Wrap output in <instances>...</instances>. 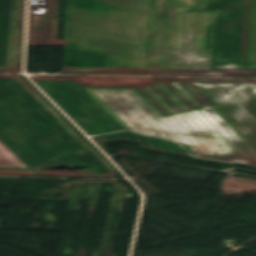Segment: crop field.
<instances>
[{
	"instance_id": "8a807250",
	"label": "crop field",
	"mask_w": 256,
	"mask_h": 256,
	"mask_svg": "<svg viewBox=\"0 0 256 256\" xmlns=\"http://www.w3.org/2000/svg\"><path fill=\"white\" fill-rule=\"evenodd\" d=\"M202 86L219 104H214ZM131 130L185 143L198 157L256 166V84L190 83L138 89H90Z\"/></svg>"
},
{
	"instance_id": "5a996713",
	"label": "crop field",
	"mask_w": 256,
	"mask_h": 256,
	"mask_svg": "<svg viewBox=\"0 0 256 256\" xmlns=\"http://www.w3.org/2000/svg\"><path fill=\"white\" fill-rule=\"evenodd\" d=\"M0 174L34 175L31 170H0Z\"/></svg>"
},
{
	"instance_id": "e52e79f7",
	"label": "crop field",
	"mask_w": 256,
	"mask_h": 256,
	"mask_svg": "<svg viewBox=\"0 0 256 256\" xmlns=\"http://www.w3.org/2000/svg\"><path fill=\"white\" fill-rule=\"evenodd\" d=\"M249 9H250V0H244V16H243V32H242L241 56H247V37H248Z\"/></svg>"
},
{
	"instance_id": "dd49c442",
	"label": "crop field",
	"mask_w": 256,
	"mask_h": 256,
	"mask_svg": "<svg viewBox=\"0 0 256 256\" xmlns=\"http://www.w3.org/2000/svg\"><path fill=\"white\" fill-rule=\"evenodd\" d=\"M105 73L244 75V71H226V70L152 71L148 69H105Z\"/></svg>"
},
{
	"instance_id": "3316defc",
	"label": "crop field",
	"mask_w": 256,
	"mask_h": 256,
	"mask_svg": "<svg viewBox=\"0 0 256 256\" xmlns=\"http://www.w3.org/2000/svg\"><path fill=\"white\" fill-rule=\"evenodd\" d=\"M0 148L17 164L24 165L1 141Z\"/></svg>"
},
{
	"instance_id": "ac0d7876",
	"label": "crop field",
	"mask_w": 256,
	"mask_h": 256,
	"mask_svg": "<svg viewBox=\"0 0 256 256\" xmlns=\"http://www.w3.org/2000/svg\"><path fill=\"white\" fill-rule=\"evenodd\" d=\"M106 12L73 8L71 47L106 52L105 68H132L136 0H99Z\"/></svg>"
},
{
	"instance_id": "d8731c3e",
	"label": "crop field",
	"mask_w": 256,
	"mask_h": 256,
	"mask_svg": "<svg viewBox=\"0 0 256 256\" xmlns=\"http://www.w3.org/2000/svg\"><path fill=\"white\" fill-rule=\"evenodd\" d=\"M0 167L28 168L26 166L16 165L1 149H0Z\"/></svg>"
},
{
	"instance_id": "f4fd0767",
	"label": "crop field",
	"mask_w": 256,
	"mask_h": 256,
	"mask_svg": "<svg viewBox=\"0 0 256 256\" xmlns=\"http://www.w3.org/2000/svg\"><path fill=\"white\" fill-rule=\"evenodd\" d=\"M79 78L87 86L136 87V88L190 83V82H194V80L256 83V80H237V79H173V78H109V77H79Z\"/></svg>"
},
{
	"instance_id": "34b2d1b8",
	"label": "crop field",
	"mask_w": 256,
	"mask_h": 256,
	"mask_svg": "<svg viewBox=\"0 0 256 256\" xmlns=\"http://www.w3.org/2000/svg\"><path fill=\"white\" fill-rule=\"evenodd\" d=\"M179 0H137L133 68L175 69Z\"/></svg>"
},
{
	"instance_id": "412701ff",
	"label": "crop field",
	"mask_w": 256,
	"mask_h": 256,
	"mask_svg": "<svg viewBox=\"0 0 256 256\" xmlns=\"http://www.w3.org/2000/svg\"><path fill=\"white\" fill-rule=\"evenodd\" d=\"M206 5L180 0L176 69H203Z\"/></svg>"
}]
</instances>
